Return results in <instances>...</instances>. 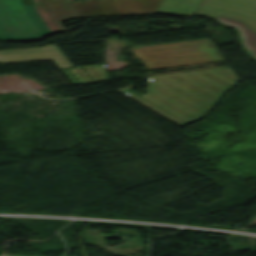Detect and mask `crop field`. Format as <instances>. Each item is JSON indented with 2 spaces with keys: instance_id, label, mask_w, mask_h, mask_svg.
Returning a JSON list of instances; mask_svg holds the SVG:
<instances>
[{
  "instance_id": "obj_2",
  "label": "crop field",
  "mask_w": 256,
  "mask_h": 256,
  "mask_svg": "<svg viewBox=\"0 0 256 256\" xmlns=\"http://www.w3.org/2000/svg\"><path fill=\"white\" fill-rule=\"evenodd\" d=\"M0 0V39H34L46 33L65 30L59 22L79 18L73 0ZM39 38V37H38Z\"/></svg>"
},
{
  "instance_id": "obj_1",
  "label": "crop field",
  "mask_w": 256,
  "mask_h": 256,
  "mask_svg": "<svg viewBox=\"0 0 256 256\" xmlns=\"http://www.w3.org/2000/svg\"><path fill=\"white\" fill-rule=\"evenodd\" d=\"M148 90L123 94L183 127L209 111L218 98L240 81L231 67L147 77ZM214 106V105H213Z\"/></svg>"
},
{
  "instance_id": "obj_5",
  "label": "crop field",
  "mask_w": 256,
  "mask_h": 256,
  "mask_svg": "<svg viewBox=\"0 0 256 256\" xmlns=\"http://www.w3.org/2000/svg\"><path fill=\"white\" fill-rule=\"evenodd\" d=\"M200 0H162L156 13L188 16L194 14Z\"/></svg>"
},
{
  "instance_id": "obj_4",
  "label": "crop field",
  "mask_w": 256,
  "mask_h": 256,
  "mask_svg": "<svg viewBox=\"0 0 256 256\" xmlns=\"http://www.w3.org/2000/svg\"><path fill=\"white\" fill-rule=\"evenodd\" d=\"M196 14L241 20L256 32V0H202Z\"/></svg>"
},
{
  "instance_id": "obj_3",
  "label": "crop field",
  "mask_w": 256,
  "mask_h": 256,
  "mask_svg": "<svg viewBox=\"0 0 256 256\" xmlns=\"http://www.w3.org/2000/svg\"><path fill=\"white\" fill-rule=\"evenodd\" d=\"M161 0H87L71 2L80 18L153 15Z\"/></svg>"
},
{
  "instance_id": "obj_6",
  "label": "crop field",
  "mask_w": 256,
  "mask_h": 256,
  "mask_svg": "<svg viewBox=\"0 0 256 256\" xmlns=\"http://www.w3.org/2000/svg\"><path fill=\"white\" fill-rule=\"evenodd\" d=\"M216 20L220 23L232 25L238 29L242 43L248 53L256 58V33L240 21H233L223 17H218Z\"/></svg>"
}]
</instances>
